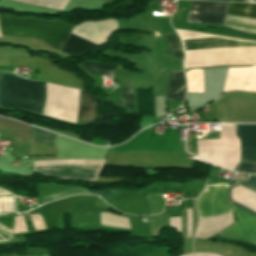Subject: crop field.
<instances>
[{
	"label": "crop field",
	"instance_id": "10",
	"mask_svg": "<svg viewBox=\"0 0 256 256\" xmlns=\"http://www.w3.org/2000/svg\"><path fill=\"white\" fill-rule=\"evenodd\" d=\"M94 110H95L94 96L80 90L79 116L77 121L91 123L94 115Z\"/></svg>",
	"mask_w": 256,
	"mask_h": 256
},
{
	"label": "crop field",
	"instance_id": "29",
	"mask_svg": "<svg viewBox=\"0 0 256 256\" xmlns=\"http://www.w3.org/2000/svg\"><path fill=\"white\" fill-rule=\"evenodd\" d=\"M0 256H6V255H0Z\"/></svg>",
	"mask_w": 256,
	"mask_h": 256
},
{
	"label": "crop field",
	"instance_id": "25",
	"mask_svg": "<svg viewBox=\"0 0 256 256\" xmlns=\"http://www.w3.org/2000/svg\"><path fill=\"white\" fill-rule=\"evenodd\" d=\"M183 256H193V254H187V255H183Z\"/></svg>",
	"mask_w": 256,
	"mask_h": 256
},
{
	"label": "crop field",
	"instance_id": "17",
	"mask_svg": "<svg viewBox=\"0 0 256 256\" xmlns=\"http://www.w3.org/2000/svg\"><path fill=\"white\" fill-rule=\"evenodd\" d=\"M10 65H24L34 68H39L40 60L39 58H28V57H9Z\"/></svg>",
	"mask_w": 256,
	"mask_h": 256
},
{
	"label": "crop field",
	"instance_id": "5",
	"mask_svg": "<svg viewBox=\"0 0 256 256\" xmlns=\"http://www.w3.org/2000/svg\"><path fill=\"white\" fill-rule=\"evenodd\" d=\"M230 3L192 1L187 22L223 24Z\"/></svg>",
	"mask_w": 256,
	"mask_h": 256
},
{
	"label": "crop field",
	"instance_id": "21",
	"mask_svg": "<svg viewBox=\"0 0 256 256\" xmlns=\"http://www.w3.org/2000/svg\"><path fill=\"white\" fill-rule=\"evenodd\" d=\"M187 211V236L186 238L190 237L191 230H192V212L191 209H186Z\"/></svg>",
	"mask_w": 256,
	"mask_h": 256
},
{
	"label": "crop field",
	"instance_id": "2",
	"mask_svg": "<svg viewBox=\"0 0 256 256\" xmlns=\"http://www.w3.org/2000/svg\"><path fill=\"white\" fill-rule=\"evenodd\" d=\"M0 25L3 35L39 38L58 49H61L72 28V25L59 21H43L7 16H0Z\"/></svg>",
	"mask_w": 256,
	"mask_h": 256
},
{
	"label": "crop field",
	"instance_id": "19",
	"mask_svg": "<svg viewBox=\"0 0 256 256\" xmlns=\"http://www.w3.org/2000/svg\"><path fill=\"white\" fill-rule=\"evenodd\" d=\"M77 193L89 194V191H87L86 189H74V190H68V191L55 193V194H52L50 196L44 197L43 201H42V204H44L46 202H49V201H52V200L57 199V198H61V197H64V196L73 195V194H77Z\"/></svg>",
	"mask_w": 256,
	"mask_h": 256
},
{
	"label": "crop field",
	"instance_id": "18",
	"mask_svg": "<svg viewBox=\"0 0 256 256\" xmlns=\"http://www.w3.org/2000/svg\"><path fill=\"white\" fill-rule=\"evenodd\" d=\"M121 106L134 110L132 88L120 87Z\"/></svg>",
	"mask_w": 256,
	"mask_h": 256
},
{
	"label": "crop field",
	"instance_id": "27",
	"mask_svg": "<svg viewBox=\"0 0 256 256\" xmlns=\"http://www.w3.org/2000/svg\"><path fill=\"white\" fill-rule=\"evenodd\" d=\"M231 1H245V0H231Z\"/></svg>",
	"mask_w": 256,
	"mask_h": 256
},
{
	"label": "crop field",
	"instance_id": "24",
	"mask_svg": "<svg viewBox=\"0 0 256 256\" xmlns=\"http://www.w3.org/2000/svg\"><path fill=\"white\" fill-rule=\"evenodd\" d=\"M1 83H2V73H0V92H1Z\"/></svg>",
	"mask_w": 256,
	"mask_h": 256
},
{
	"label": "crop field",
	"instance_id": "11",
	"mask_svg": "<svg viewBox=\"0 0 256 256\" xmlns=\"http://www.w3.org/2000/svg\"><path fill=\"white\" fill-rule=\"evenodd\" d=\"M183 40L185 42L186 49L216 46V45H256V44H248V43L218 39L213 37L192 38V39H183Z\"/></svg>",
	"mask_w": 256,
	"mask_h": 256
},
{
	"label": "crop field",
	"instance_id": "20",
	"mask_svg": "<svg viewBox=\"0 0 256 256\" xmlns=\"http://www.w3.org/2000/svg\"><path fill=\"white\" fill-rule=\"evenodd\" d=\"M235 171L245 172V173H256V165L239 163Z\"/></svg>",
	"mask_w": 256,
	"mask_h": 256
},
{
	"label": "crop field",
	"instance_id": "15",
	"mask_svg": "<svg viewBox=\"0 0 256 256\" xmlns=\"http://www.w3.org/2000/svg\"><path fill=\"white\" fill-rule=\"evenodd\" d=\"M116 65L84 62L81 67L93 74L111 75ZM117 67V66H116Z\"/></svg>",
	"mask_w": 256,
	"mask_h": 256
},
{
	"label": "crop field",
	"instance_id": "9",
	"mask_svg": "<svg viewBox=\"0 0 256 256\" xmlns=\"http://www.w3.org/2000/svg\"><path fill=\"white\" fill-rule=\"evenodd\" d=\"M98 46L70 33L62 49V52L67 53L69 55H78V54L87 53L97 48Z\"/></svg>",
	"mask_w": 256,
	"mask_h": 256
},
{
	"label": "crop field",
	"instance_id": "26",
	"mask_svg": "<svg viewBox=\"0 0 256 256\" xmlns=\"http://www.w3.org/2000/svg\"><path fill=\"white\" fill-rule=\"evenodd\" d=\"M215 1H230V0H215Z\"/></svg>",
	"mask_w": 256,
	"mask_h": 256
},
{
	"label": "crop field",
	"instance_id": "8",
	"mask_svg": "<svg viewBox=\"0 0 256 256\" xmlns=\"http://www.w3.org/2000/svg\"><path fill=\"white\" fill-rule=\"evenodd\" d=\"M185 76L182 71L171 72L167 100H184Z\"/></svg>",
	"mask_w": 256,
	"mask_h": 256
},
{
	"label": "crop field",
	"instance_id": "1",
	"mask_svg": "<svg viewBox=\"0 0 256 256\" xmlns=\"http://www.w3.org/2000/svg\"><path fill=\"white\" fill-rule=\"evenodd\" d=\"M234 186H237L256 196V175H248L246 181L237 182ZM234 186H231V187H234ZM231 187H228V190H227L229 203L234 204L256 216V212H254L256 211V197L237 187L231 189L232 199L254 210L252 211L234 202L231 199V195H230ZM231 206L239 221L219 235L223 237H229V238H240L256 244V217L233 205Z\"/></svg>",
	"mask_w": 256,
	"mask_h": 256
},
{
	"label": "crop field",
	"instance_id": "4",
	"mask_svg": "<svg viewBox=\"0 0 256 256\" xmlns=\"http://www.w3.org/2000/svg\"><path fill=\"white\" fill-rule=\"evenodd\" d=\"M227 184L207 185L197 200L199 218L231 212L226 201Z\"/></svg>",
	"mask_w": 256,
	"mask_h": 256
},
{
	"label": "crop field",
	"instance_id": "22",
	"mask_svg": "<svg viewBox=\"0 0 256 256\" xmlns=\"http://www.w3.org/2000/svg\"><path fill=\"white\" fill-rule=\"evenodd\" d=\"M113 190L110 189H105V190H95L91 191V194H96V195H103V194H108V193H113Z\"/></svg>",
	"mask_w": 256,
	"mask_h": 256
},
{
	"label": "crop field",
	"instance_id": "14",
	"mask_svg": "<svg viewBox=\"0 0 256 256\" xmlns=\"http://www.w3.org/2000/svg\"><path fill=\"white\" fill-rule=\"evenodd\" d=\"M21 3L63 10L69 0H16Z\"/></svg>",
	"mask_w": 256,
	"mask_h": 256
},
{
	"label": "crop field",
	"instance_id": "12",
	"mask_svg": "<svg viewBox=\"0 0 256 256\" xmlns=\"http://www.w3.org/2000/svg\"><path fill=\"white\" fill-rule=\"evenodd\" d=\"M32 140L58 149L60 136L33 127Z\"/></svg>",
	"mask_w": 256,
	"mask_h": 256
},
{
	"label": "crop field",
	"instance_id": "7",
	"mask_svg": "<svg viewBox=\"0 0 256 256\" xmlns=\"http://www.w3.org/2000/svg\"><path fill=\"white\" fill-rule=\"evenodd\" d=\"M242 147L241 160L256 162V125H236Z\"/></svg>",
	"mask_w": 256,
	"mask_h": 256
},
{
	"label": "crop field",
	"instance_id": "23",
	"mask_svg": "<svg viewBox=\"0 0 256 256\" xmlns=\"http://www.w3.org/2000/svg\"><path fill=\"white\" fill-rule=\"evenodd\" d=\"M236 29L243 30V31H247V32H251V33H256V30L245 29V28H239V27H236Z\"/></svg>",
	"mask_w": 256,
	"mask_h": 256
},
{
	"label": "crop field",
	"instance_id": "16",
	"mask_svg": "<svg viewBox=\"0 0 256 256\" xmlns=\"http://www.w3.org/2000/svg\"><path fill=\"white\" fill-rule=\"evenodd\" d=\"M168 43L170 56L183 58L180 40L177 35L165 36Z\"/></svg>",
	"mask_w": 256,
	"mask_h": 256
},
{
	"label": "crop field",
	"instance_id": "13",
	"mask_svg": "<svg viewBox=\"0 0 256 256\" xmlns=\"http://www.w3.org/2000/svg\"><path fill=\"white\" fill-rule=\"evenodd\" d=\"M227 14L256 18V4L231 3Z\"/></svg>",
	"mask_w": 256,
	"mask_h": 256
},
{
	"label": "crop field",
	"instance_id": "28",
	"mask_svg": "<svg viewBox=\"0 0 256 256\" xmlns=\"http://www.w3.org/2000/svg\"><path fill=\"white\" fill-rule=\"evenodd\" d=\"M163 197H165V196H162V197H158V198H156V199H159V198H163Z\"/></svg>",
	"mask_w": 256,
	"mask_h": 256
},
{
	"label": "crop field",
	"instance_id": "3",
	"mask_svg": "<svg viewBox=\"0 0 256 256\" xmlns=\"http://www.w3.org/2000/svg\"><path fill=\"white\" fill-rule=\"evenodd\" d=\"M44 83L3 75L0 106L27 109L42 114Z\"/></svg>",
	"mask_w": 256,
	"mask_h": 256
},
{
	"label": "crop field",
	"instance_id": "6",
	"mask_svg": "<svg viewBox=\"0 0 256 256\" xmlns=\"http://www.w3.org/2000/svg\"><path fill=\"white\" fill-rule=\"evenodd\" d=\"M38 80L84 89L82 82L75 74L62 71L44 60L42 62Z\"/></svg>",
	"mask_w": 256,
	"mask_h": 256
}]
</instances>
